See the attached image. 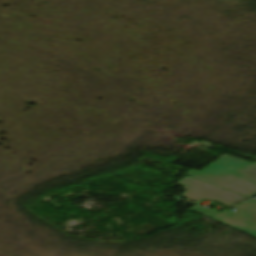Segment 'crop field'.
<instances>
[{
	"instance_id": "412701ff",
	"label": "crop field",
	"mask_w": 256,
	"mask_h": 256,
	"mask_svg": "<svg viewBox=\"0 0 256 256\" xmlns=\"http://www.w3.org/2000/svg\"><path fill=\"white\" fill-rule=\"evenodd\" d=\"M190 210H193V211H195V212L204 214V215L209 216V217H212V216L218 214V213H216V212L210 211V210L205 209V208H202V207H200V206H196V207H194V208H192V209H190Z\"/></svg>"
},
{
	"instance_id": "8a807250",
	"label": "crop field",
	"mask_w": 256,
	"mask_h": 256,
	"mask_svg": "<svg viewBox=\"0 0 256 256\" xmlns=\"http://www.w3.org/2000/svg\"><path fill=\"white\" fill-rule=\"evenodd\" d=\"M187 175L248 197L256 194V162L224 155L204 171Z\"/></svg>"
},
{
	"instance_id": "34b2d1b8",
	"label": "crop field",
	"mask_w": 256,
	"mask_h": 256,
	"mask_svg": "<svg viewBox=\"0 0 256 256\" xmlns=\"http://www.w3.org/2000/svg\"><path fill=\"white\" fill-rule=\"evenodd\" d=\"M236 208L233 213L226 211L213 218L256 236V201L250 200Z\"/></svg>"
},
{
	"instance_id": "ac0d7876",
	"label": "crop field",
	"mask_w": 256,
	"mask_h": 256,
	"mask_svg": "<svg viewBox=\"0 0 256 256\" xmlns=\"http://www.w3.org/2000/svg\"><path fill=\"white\" fill-rule=\"evenodd\" d=\"M177 184L187 190L182 196L200 202L204 199L219 202L226 206H232L240 201L248 199L228 190L204 183L194 177L183 178Z\"/></svg>"
}]
</instances>
